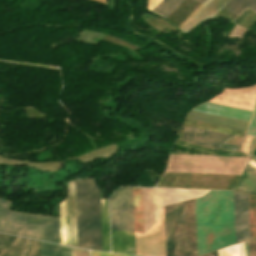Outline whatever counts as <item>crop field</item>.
<instances>
[{
  "label": "crop field",
  "instance_id": "1",
  "mask_svg": "<svg viewBox=\"0 0 256 256\" xmlns=\"http://www.w3.org/2000/svg\"><path fill=\"white\" fill-rule=\"evenodd\" d=\"M198 256L235 243L232 192L195 199Z\"/></svg>",
  "mask_w": 256,
  "mask_h": 256
},
{
  "label": "crop field",
  "instance_id": "2",
  "mask_svg": "<svg viewBox=\"0 0 256 256\" xmlns=\"http://www.w3.org/2000/svg\"><path fill=\"white\" fill-rule=\"evenodd\" d=\"M166 256H197L194 199L165 206Z\"/></svg>",
  "mask_w": 256,
  "mask_h": 256
},
{
  "label": "crop field",
  "instance_id": "3",
  "mask_svg": "<svg viewBox=\"0 0 256 256\" xmlns=\"http://www.w3.org/2000/svg\"><path fill=\"white\" fill-rule=\"evenodd\" d=\"M78 247L102 251L99 190L93 179L75 180Z\"/></svg>",
  "mask_w": 256,
  "mask_h": 256
},
{
  "label": "crop field",
  "instance_id": "4",
  "mask_svg": "<svg viewBox=\"0 0 256 256\" xmlns=\"http://www.w3.org/2000/svg\"><path fill=\"white\" fill-rule=\"evenodd\" d=\"M111 229L134 231L132 187H122L110 199ZM112 251L135 255L134 232L111 230Z\"/></svg>",
  "mask_w": 256,
  "mask_h": 256
},
{
  "label": "crop field",
  "instance_id": "5",
  "mask_svg": "<svg viewBox=\"0 0 256 256\" xmlns=\"http://www.w3.org/2000/svg\"><path fill=\"white\" fill-rule=\"evenodd\" d=\"M0 200V232L59 243L58 218L9 212Z\"/></svg>",
  "mask_w": 256,
  "mask_h": 256
},
{
  "label": "crop field",
  "instance_id": "6",
  "mask_svg": "<svg viewBox=\"0 0 256 256\" xmlns=\"http://www.w3.org/2000/svg\"><path fill=\"white\" fill-rule=\"evenodd\" d=\"M207 192L142 188L144 232L159 219L158 211L163 206L200 197Z\"/></svg>",
  "mask_w": 256,
  "mask_h": 256
},
{
  "label": "crop field",
  "instance_id": "7",
  "mask_svg": "<svg viewBox=\"0 0 256 256\" xmlns=\"http://www.w3.org/2000/svg\"><path fill=\"white\" fill-rule=\"evenodd\" d=\"M42 256H71L70 248L41 242ZM0 256H41L40 242L0 235Z\"/></svg>",
  "mask_w": 256,
  "mask_h": 256
},
{
  "label": "crop field",
  "instance_id": "8",
  "mask_svg": "<svg viewBox=\"0 0 256 256\" xmlns=\"http://www.w3.org/2000/svg\"><path fill=\"white\" fill-rule=\"evenodd\" d=\"M229 138V135L184 126L182 139L209 147L239 151V147L225 145Z\"/></svg>",
  "mask_w": 256,
  "mask_h": 256
},
{
  "label": "crop field",
  "instance_id": "9",
  "mask_svg": "<svg viewBox=\"0 0 256 256\" xmlns=\"http://www.w3.org/2000/svg\"><path fill=\"white\" fill-rule=\"evenodd\" d=\"M236 243L249 238L248 195L233 192Z\"/></svg>",
  "mask_w": 256,
  "mask_h": 256
},
{
  "label": "crop field",
  "instance_id": "10",
  "mask_svg": "<svg viewBox=\"0 0 256 256\" xmlns=\"http://www.w3.org/2000/svg\"><path fill=\"white\" fill-rule=\"evenodd\" d=\"M194 111L237 119V120L246 121V122L249 121V118L252 113L250 111H245V110H240V109H235V108H230V107H225V106H220V105H215L210 103L202 104L196 109H194Z\"/></svg>",
  "mask_w": 256,
  "mask_h": 256
},
{
  "label": "crop field",
  "instance_id": "11",
  "mask_svg": "<svg viewBox=\"0 0 256 256\" xmlns=\"http://www.w3.org/2000/svg\"><path fill=\"white\" fill-rule=\"evenodd\" d=\"M68 245L77 247L74 180L68 182L66 199Z\"/></svg>",
  "mask_w": 256,
  "mask_h": 256
},
{
  "label": "crop field",
  "instance_id": "12",
  "mask_svg": "<svg viewBox=\"0 0 256 256\" xmlns=\"http://www.w3.org/2000/svg\"><path fill=\"white\" fill-rule=\"evenodd\" d=\"M187 119L214 124V125L223 126V127H228V128H233V129H238V130H243V131L246 130V127L248 124L246 122L203 114V113L194 112V111H191Z\"/></svg>",
  "mask_w": 256,
  "mask_h": 256
},
{
  "label": "crop field",
  "instance_id": "13",
  "mask_svg": "<svg viewBox=\"0 0 256 256\" xmlns=\"http://www.w3.org/2000/svg\"><path fill=\"white\" fill-rule=\"evenodd\" d=\"M229 0H211L181 31L188 32L200 22L211 19Z\"/></svg>",
  "mask_w": 256,
  "mask_h": 256
},
{
  "label": "crop field",
  "instance_id": "14",
  "mask_svg": "<svg viewBox=\"0 0 256 256\" xmlns=\"http://www.w3.org/2000/svg\"><path fill=\"white\" fill-rule=\"evenodd\" d=\"M234 190L256 194V169L247 165Z\"/></svg>",
  "mask_w": 256,
  "mask_h": 256
},
{
  "label": "crop field",
  "instance_id": "15",
  "mask_svg": "<svg viewBox=\"0 0 256 256\" xmlns=\"http://www.w3.org/2000/svg\"><path fill=\"white\" fill-rule=\"evenodd\" d=\"M103 251L110 252L108 199L100 192Z\"/></svg>",
  "mask_w": 256,
  "mask_h": 256
},
{
  "label": "crop field",
  "instance_id": "16",
  "mask_svg": "<svg viewBox=\"0 0 256 256\" xmlns=\"http://www.w3.org/2000/svg\"><path fill=\"white\" fill-rule=\"evenodd\" d=\"M247 7L256 11V0H231L223 9L238 16Z\"/></svg>",
  "mask_w": 256,
  "mask_h": 256
},
{
  "label": "crop field",
  "instance_id": "17",
  "mask_svg": "<svg viewBox=\"0 0 256 256\" xmlns=\"http://www.w3.org/2000/svg\"><path fill=\"white\" fill-rule=\"evenodd\" d=\"M184 1L185 0H162L152 10V12H154L166 19Z\"/></svg>",
  "mask_w": 256,
  "mask_h": 256
},
{
  "label": "crop field",
  "instance_id": "18",
  "mask_svg": "<svg viewBox=\"0 0 256 256\" xmlns=\"http://www.w3.org/2000/svg\"><path fill=\"white\" fill-rule=\"evenodd\" d=\"M218 255L219 256H245L244 242L219 250Z\"/></svg>",
  "mask_w": 256,
  "mask_h": 256
},
{
  "label": "crop field",
  "instance_id": "19",
  "mask_svg": "<svg viewBox=\"0 0 256 256\" xmlns=\"http://www.w3.org/2000/svg\"><path fill=\"white\" fill-rule=\"evenodd\" d=\"M176 144L184 145V146H187V147L195 148V149L202 150V151H206V152H212V153H220V154H228V155H236V156H244V157H247L244 153L208 149V148L196 146V145L189 144V143H185V142H181V141H176Z\"/></svg>",
  "mask_w": 256,
  "mask_h": 256
},
{
  "label": "crop field",
  "instance_id": "20",
  "mask_svg": "<svg viewBox=\"0 0 256 256\" xmlns=\"http://www.w3.org/2000/svg\"><path fill=\"white\" fill-rule=\"evenodd\" d=\"M61 243L67 245L65 201L60 204Z\"/></svg>",
  "mask_w": 256,
  "mask_h": 256
},
{
  "label": "crop field",
  "instance_id": "21",
  "mask_svg": "<svg viewBox=\"0 0 256 256\" xmlns=\"http://www.w3.org/2000/svg\"><path fill=\"white\" fill-rule=\"evenodd\" d=\"M247 135L256 136V106L254 109V113H253V116L251 119V123H250L249 129H248Z\"/></svg>",
  "mask_w": 256,
  "mask_h": 256
},
{
  "label": "crop field",
  "instance_id": "22",
  "mask_svg": "<svg viewBox=\"0 0 256 256\" xmlns=\"http://www.w3.org/2000/svg\"><path fill=\"white\" fill-rule=\"evenodd\" d=\"M210 0H206L199 6L178 28L181 30Z\"/></svg>",
  "mask_w": 256,
  "mask_h": 256
},
{
  "label": "crop field",
  "instance_id": "23",
  "mask_svg": "<svg viewBox=\"0 0 256 256\" xmlns=\"http://www.w3.org/2000/svg\"><path fill=\"white\" fill-rule=\"evenodd\" d=\"M249 246V256H256V242L251 241L248 243Z\"/></svg>",
  "mask_w": 256,
  "mask_h": 256
},
{
  "label": "crop field",
  "instance_id": "24",
  "mask_svg": "<svg viewBox=\"0 0 256 256\" xmlns=\"http://www.w3.org/2000/svg\"><path fill=\"white\" fill-rule=\"evenodd\" d=\"M73 256H89V252L85 250L73 249L72 248Z\"/></svg>",
  "mask_w": 256,
  "mask_h": 256
},
{
  "label": "crop field",
  "instance_id": "25",
  "mask_svg": "<svg viewBox=\"0 0 256 256\" xmlns=\"http://www.w3.org/2000/svg\"><path fill=\"white\" fill-rule=\"evenodd\" d=\"M161 0H149L148 10H152Z\"/></svg>",
  "mask_w": 256,
  "mask_h": 256
},
{
  "label": "crop field",
  "instance_id": "26",
  "mask_svg": "<svg viewBox=\"0 0 256 256\" xmlns=\"http://www.w3.org/2000/svg\"><path fill=\"white\" fill-rule=\"evenodd\" d=\"M91 256H123V255H114V254H105V253L91 252Z\"/></svg>",
  "mask_w": 256,
  "mask_h": 256
},
{
  "label": "crop field",
  "instance_id": "27",
  "mask_svg": "<svg viewBox=\"0 0 256 256\" xmlns=\"http://www.w3.org/2000/svg\"><path fill=\"white\" fill-rule=\"evenodd\" d=\"M204 256H218V255H217V251H216V252H213V253H210V254L204 255Z\"/></svg>",
  "mask_w": 256,
  "mask_h": 256
},
{
  "label": "crop field",
  "instance_id": "28",
  "mask_svg": "<svg viewBox=\"0 0 256 256\" xmlns=\"http://www.w3.org/2000/svg\"><path fill=\"white\" fill-rule=\"evenodd\" d=\"M245 246H246V256H248V247H247V241L245 242Z\"/></svg>",
  "mask_w": 256,
  "mask_h": 256
},
{
  "label": "crop field",
  "instance_id": "29",
  "mask_svg": "<svg viewBox=\"0 0 256 256\" xmlns=\"http://www.w3.org/2000/svg\"><path fill=\"white\" fill-rule=\"evenodd\" d=\"M251 166L255 167L256 168V164L251 160L250 164Z\"/></svg>",
  "mask_w": 256,
  "mask_h": 256
},
{
  "label": "crop field",
  "instance_id": "30",
  "mask_svg": "<svg viewBox=\"0 0 256 256\" xmlns=\"http://www.w3.org/2000/svg\"><path fill=\"white\" fill-rule=\"evenodd\" d=\"M198 1L203 2L204 0H198Z\"/></svg>",
  "mask_w": 256,
  "mask_h": 256
},
{
  "label": "crop field",
  "instance_id": "31",
  "mask_svg": "<svg viewBox=\"0 0 256 256\" xmlns=\"http://www.w3.org/2000/svg\"><path fill=\"white\" fill-rule=\"evenodd\" d=\"M99 1L105 2V0H99Z\"/></svg>",
  "mask_w": 256,
  "mask_h": 256
}]
</instances>
